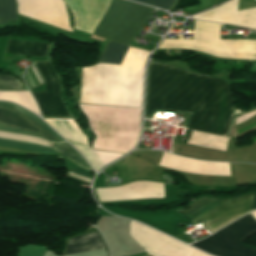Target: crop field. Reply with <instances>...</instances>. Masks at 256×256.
I'll return each mask as SVG.
<instances>
[{"label": "crop field", "instance_id": "1", "mask_svg": "<svg viewBox=\"0 0 256 256\" xmlns=\"http://www.w3.org/2000/svg\"><path fill=\"white\" fill-rule=\"evenodd\" d=\"M233 100L219 80L150 61L144 118L153 110L190 114L189 129L224 135Z\"/></svg>", "mask_w": 256, "mask_h": 256}, {"label": "crop field", "instance_id": "2", "mask_svg": "<svg viewBox=\"0 0 256 256\" xmlns=\"http://www.w3.org/2000/svg\"><path fill=\"white\" fill-rule=\"evenodd\" d=\"M75 18L74 28L94 31L114 0H64ZM150 14V9L123 0H115L93 35L130 45ZM128 46L109 42L99 63L119 65Z\"/></svg>", "mask_w": 256, "mask_h": 256}, {"label": "crop field", "instance_id": "3", "mask_svg": "<svg viewBox=\"0 0 256 256\" xmlns=\"http://www.w3.org/2000/svg\"><path fill=\"white\" fill-rule=\"evenodd\" d=\"M144 70L97 64L82 67L80 102L141 107Z\"/></svg>", "mask_w": 256, "mask_h": 256}, {"label": "crop field", "instance_id": "4", "mask_svg": "<svg viewBox=\"0 0 256 256\" xmlns=\"http://www.w3.org/2000/svg\"><path fill=\"white\" fill-rule=\"evenodd\" d=\"M159 48H191L220 58L256 60V41L220 40V24L198 20L193 40L164 39Z\"/></svg>", "mask_w": 256, "mask_h": 256}, {"label": "crop field", "instance_id": "5", "mask_svg": "<svg viewBox=\"0 0 256 256\" xmlns=\"http://www.w3.org/2000/svg\"><path fill=\"white\" fill-rule=\"evenodd\" d=\"M253 199L254 193L230 199L203 197L177 212L194 223L207 221L203 224L213 232L252 211Z\"/></svg>", "mask_w": 256, "mask_h": 256}, {"label": "crop field", "instance_id": "6", "mask_svg": "<svg viewBox=\"0 0 256 256\" xmlns=\"http://www.w3.org/2000/svg\"><path fill=\"white\" fill-rule=\"evenodd\" d=\"M253 232H256V222L247 214L192 245L216 256H256L255 249L244 247L240 242Z\"/></svg>", "mask_w": 256, "mask_h": 256}, {"label": "crop field", "instance_id": "7", "mask_svg": "<svg viewBox=\"0 0 256 256\" xmlns=\"http://www.w3.org/2000/svg\"><path fill=\"white\" fill-rule=\"evenodd\" d=\"M43 119L74 145L90 162L94 170L99 171L101 168L124 155L91 149L68 119Z\"/></svg>", "mask_w": 256, "mask_h": 256}, {"label": "crop field", "instance_id": "8", "mask_svg": "<svg viewBox=\"0 0 256 256\" xmlns=\"http://www.w3.org/2000/svg\"><path fill=\"white\" fill-rule=\"evenodd\" d=\"M44 81L46 92H31L43 117H69L59 96V81L49 62L36 63Z\"/></svg>", "mask_w": 256, "mask_h": 256}, {"label": "crop field", "instance_id": "9", "mask_svg": "<svg viewBox=\"0 0 256 256\" xmlns=\"http://www.w3.org/2000/svg\"><path fill=\"white\" fill-rule=\"evenodd\" d=\"M0 105L9 106V107H12V108L18 110L19 112L25 114L30 119H32L37 124H39L43 129H45L57 141H65L55 131H53L47 124H45L41 119H39L35 115L31 114L30 112L26 111L25 109H23L19 106L13 105L11 103L2 102V101H0ZM9 107L0 106V123L1 124L37 132L42 135V138H44L50 142L56 141L45 130H43L39 125H37L35 122L30 120L25 115L19 113L18 111L14 110L12 108H9Z\"/></svg>", "mask_w": 256, "mask_h": 256}, {"label": "crop field", "instance_id": "10", "mask_svg": "<svg viewBox=\"0 0 256 256\" xmlns=\"http://www.w3.org/2000/svg\"><path fill=\"white\" fill-rule=\"evenodd\" d=\"M100 202L164 198L162 184L137 181L120 187L95 189Z\"/></svg>", "mask_w": 256, "mask_h": 256}, {"label": "crop field", "instance_id": "11", "mask_svg": "<svg viewBox=\"0 0 256 256\" xmlns=\"http://www.w3.org/2000/svg\"><path fill=\"white\" fill-rule=\"evenodd\" d=\"M193 18L227 22L256 29V7L237 11V0L229 1L214 9L195 15Z\"/></svg>", "mask_w": 256, "mask_h": 256}, {"label": "crop field", "instance_id": "12", "mask_svg": "<svg viewBox=\"0 0 256 256\" xmlns=\"http://www.w3.org/2000/svg\"><path fill=\"white\" fill-rule=\"evenodd\" d=\"M0 137L32 142V143L50 147L47 141L39 138L10 134V133H3V132H0ZM2 138H0V146L14 147V148H20V149H26V150H32V151H38V152L55 153L51 148H48V147H44V146H40L32 143L2 139Z\"/></svg>", "mask_w": 256, "mask_h": 256}, {"label": "crop field", "instance_id": "13", "mask_svg": "<svg viewBox=\"0 0 256 256\" xmlns=\"http://www.w3.org/2000/svg\"><path fill=\"white\" fill-rule=\"evenodd\" d=\"M104 243L98 232L71 238L67 244V254L80 253L104 248Z\"/></svg>", "mask_w": 256, "mask_h": 256}, {"label": "crop field", "instance_id": "14", "mask_svg": "<svg viewBox=\"0 0 256 256\" xmlns=\"http://www.w3.org/2000/svg\"><path fill=\"white\" fill-rule=\"evenodd\" d=\"M49 44L9 40L4 52L46 57Z\"/></svg>", "mask_w": 256, "mask_h": 256}, {"label": "crop field", "instance_id": "15", "mask_svg": "<svg viewBox=\"0 0 256 256\" xmlns=\"http://www.w3.org/2000/svg\"><path fill=\"white\" fill-rule=\"evenodd\" d=\"M228 139L226 137L193 131L187 143L225 151Z\"/></svg>", "mask_w": 256, "mask_h": 256}, {"label": "crop field", "instance_id": "16", "mask_svg": "<svg viewBox=\"0 0 256 256\" xmlns=\"http://www.w3.org/2000/svg\"><path fill=\"white\" fill-rule=\"evenodd\" d=\"M56 152L67 158L69 161L75 165L86 169L88 171H93L92 168L85 162L84 158L67 142L52 143Z\"/></svg>", "mask_w": 256, "mask_h": 256}, {"label": "crop field", "instance_id": "17", "mask_svg": "<svg viewBox=\"0 0 256 256\" xmlns=\"http://www.w3.org/2000/svg\"><path fill=\"white\" fill-rule=\"evenodd\" d=\"M16 20L14 0H0V25Z\"/></svg>", "mask_w": 256, "mask_h": 256}, {"label": "crop field", "instance_id": "18", "mask_svg": "<svg viewBox=\"0 0 256 256\" xmlns=\"http://www.w3.org/2000/svg\"><path fill=\"white\" fill-rule=\"evenodd\" d=\"M11 77L0 75V91L29 93L28 90L21 88L19 80Z\"/></svg>", "mask_w": 256, "mask_h": 256}, {"label": "crop field", "instance_id": "19", "mask_svg": "<svg viewBox=\"0 0 256 256\" xmlns=\"http://www.w3.org/2000/svg\"><path fill=\"white\" fill-rule=\"evenodd\" d=\"M47 247L42 245H31L17 247L16 256H43Z\"/></svg>", "mask_w": 256, "mask_h": 256}, {"label": "crop field", "instance_id": "20", "mask_svg": "<svg viewBox=\"0 0 256 256\" xmlns=\"http://www.w3.org/2000/svg\"><path fill=\"white\" fill-rule=\"evenodd\" d=\"M67 166H68V170H69V171L74 172V173L79 174V175H82V176H84V177H87V178H89V179L91 178L90 172H88V171H86V170H83V169H81V168H79V167H76L75 165H73L72 163H70V162H68V161H67ZM69 171H68V173H69L70 176L75 177V178H78V179L83 180V181H86V182H88V183L90 182L89 179L84 178V177L79 176V175H76V174H74V173H71V172H69Z\"/></svg>", "mask_w": 256, "mask_h": 256}, {"label": "crop field", "instance_id": "21", "mask_svg": "<svg viewBox=\"0 0 256 256\" xmlns=\"http://www.w3.org/2000/svg\"><path fill=\"white\" fill-rule=\"evenodd\" d=\"M135 1L145 3L148 5L157 6L163 9L169 8L174 2V0H135Z\"/></svg>", "mask_w": 256, "mask_h": 256}, {"label": "crop field", "instance_id": "22", "mask_svg": "<svg viewBox=\"0 0 256 256\" xmlns=\"http://www.w3.org/2000/svg\"><path fill=\"white\" fill-rule=\"evenodd\" d=\"M0 130H3V131H9V132H14V133H21V134L35 135V134H31V133H28V132H24V131H20V130H16V129L8 128V127H4V126H0ZM35 136H39V135H35ZM39 137H41V136H39Z\"/></svg>", "mask_w": 256, "mask_h": 256}, {"label": "crop field", "instance_id": "23", "mask_svg": "<svg viewBox=\"0 0 256 256\" xmlns=\"http://www.w3.org/2000/svg\"><path fill=\"white\" fill-rule=\"evenodd\" d=\"M145 249V248H144ZM149 255L151 256H171L169 254H166L162 251H157V250H151V249H145Z\"/></svg>", "mask_w": 256, "mask_h": 256}, {"label": "crop field", "instance_id": "24", "mask_svg": "<svg viewBox=\"0 0 256 256\" xmlns=\"http://www.w3.org/2000/svg\"><path fill=\"white\" fill-rule=\"evenodd\" d=\"M186 256H208L190 247Z\"/></svg>", "mask_w": 256, "mask_h": 256}, {"label": "crop field", "instance_id": "25", "mask_svg": "<svg viewBox=\"0 0 256 256\" xmlns=\"http://www.w3.org/2000/svg\"><path fill=\"white\" fill-rule=\"evenodd\" d=\"M256 208V202H255V206H254V209Z\"/></svg>", "mask_w": 256, "mask_h": 256}]
</instances>
